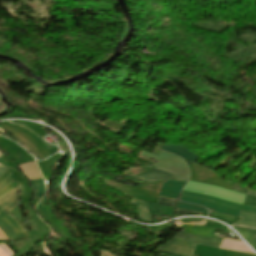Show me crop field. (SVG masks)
<instances>
[{
    "label": "crop field",
    "instance_id": "crop-field-2",
    "mask_svg": "<svg viewBox=\"0 0 256 256\" xmlns=\"http://www.w3.org/2000/svg\"><path fill=\"white\" fill-rule=\"evenodd\" d=\"M97 179H103L104 184L111 188L124 192L125 196L133 198L135 200L156 203L158 193L164 184V182H155L150 184H144L138 188L125 185L122 183L114 182L106 178L97 176Z\"/></svg>",
    "mask_w": 256,
    "mask_h": 256
},
{
    "label": "crop field",
    "instance_id": "crop-field-17",
    "mask_svg": "<svg viewBox=\"0 0 256 256\" xmlns=\"http://www.w3.org/2000/svg\"><path fill=\"white\" fill-rule=\"evenodd\" d=\"M13 189V187H10V186H8L4 191H2L1 193H0V197H2L4 194H6L7 192H9L10 190H12ZM0 209L1 210H3V211H5L2 207H0ZM6 212V211H5ZM7 213V212H6ZM8 214V213H7ZM18 225H19V227L22 229V231L24 232V234H25V237L26 238H28L27 237V235H26V233H25V231H24V229L21 227V225L10 215V214H8Z\"/></svg>",
    "mask_w": 256,
    "mask_h": 256
},
{
    "label": "crop field",
    "instance_id": "crop-field-8",
    "mask_svg": "<svg viewBox=\"0 0 256 256\" xmlns=\"http://www.w3.org/2000/svg\"><path fill=\"white\" fill-rule=\"evenodd\" d=\"M174 174L159 170V169H152L151 171L137 177L146 181H158V180H170L172 179Z\"/></svg>",
    "mask_w": 256,
    "mask_h": 256
},
{
    "label": "crop field",
    "instance_id": "crop-field-16",
    "mask_svg": "<svg viewBox=\"0 0 256 256\" xmlns=\"http://www.w3.org/2000/svg\"><path fill=\"white\" fill-rule=\"evenodd\" d=\"M9 172H10V170H9L6 174H4L2 177H0V182H1L3 179H5L6 177H8ZM10 183H11V182L9 181V179L6 178V179L3 181V183L0 184V192H1L2 190H4Z\"/></svg>",
    "mask_w": 256,
    "mask_h": 256
},
{
    "label": "crop field",
    "instance_id": "crop-field-22",
    "mask_svg": "<svg viewBox=\"0 0 256 256\" xmlns=\"http://www.w3.org/2000/svg\"><path fill=\"white\" fill-rule=\"evenodd\" d=\"M6 238H7V237H6ZM6 238H5L4 234H3V232L0 230V239L6 240Z\"/></svg>",
    "mask_w": 256,
    "mask_h": 256
},
{
    "label": "crop field",
    "instance_id": "crop-field-14",
    "mask_svg": "<svg viewBox=\"0 0 256 256\" xmlns=\"http://www.w3.org/2000/svg\"><path fill=\"white\" fill-rule=\"evenodd\" d=\"M209 216L210 217H214V218H216V219H218L220 221H223V222H225V223H227L229 225L240 220V218L229 217V216L218 214V213H210Z\"/></svg>",
    "mask_w": 256,
    "mask_h": 256
},
{
    "label": "crop field",
    "instance_id": "crop-field-25",
    "mask_svg": "<svg viewBox=\"0 0 256 256\" xmlns=\"http://www.w3.org/2000/svg\"><path fill=\"white\" fill-rule=\"evenodd\" d=\"M1 156V155H0Z\"/></svg>",
    "mask_w": 256,
    "mask_h": 256
},
{
    "label": "crop field",
    "instance_id": "crop-field-20",
    "mask_svg": "<svg viewBox=\"0 0 256 256\" xmlns=\"http://www.w3.org/2000/svg\"><path fill=\"white\" fill-rule=\"evenodd\" d=\"M229 256H256V255L243 254V253H237V252H231V251H229Z\"/></svg>",
    "mask_w": 256,
    "mask_h": 256
},
{
    "label": "crop field",
    "instance_id": "crop-field-15",
    "mask_svg": "<svg viewBox=\"0 0 256 256\" xmlns=\"http://www.w3.org/2000/svg\"><path fill=\"white\" fill-rule=\"evenodd\" d=\"M178 208H183V209H189V210H194V211H199V212H207V210H205L204 208L202 207H196V206H191V205H186V204H181L179 203L177 205Z\"/></svg>",
    "mask_w": 256,
    "mask_h": 256
},
{
    "label": "crop field",
    "instance_id": "crop-field-5",
    "mask_svg": "<svg viewBox=\"0 0 256 256\" xmlns=\"http://www.w3.org/2000/svg\"><path fill=\"white\" fill-rule=\"evenodd\" d=\"M189 168L191 170L190 181L192 182L220 186L228 190H231L233 186L232 183L221 180V178L216 173L207 168L200 167L194 164L190 165Z\"/></svg>",
    "mask_w": 256,
    "mask_h": 256
},
{
    "label": "crop field",
    "instance_id": "crop-field-19",
    "mask_svg": "<svg viewBox=\"0 0 256 256\" xmlns=\"http://www.w3.org/2000/svg\"><path fill=\"white\" fill-rule=\"evenodd\" d=\"M176 212H178V213H184V214H192V215H199V216H202V214H199V213H195V212H191V211H186V210H180V209H177Z\"/></svg>",
    "mask_w": 256,
    "mask_h": 256
},
{
    "label": "crop field",
    "instance_id": "crop-field-12",
    "mask_svg": "<svg viewBox=\"0 0 256 256\" xmlns=\"http://www.w3.org/2000/svg\"><path fill=\"white\" fill-rule=\"evenodd\" d=\"M234 228L247 243H249L253 248L256 249V241L251 240L255 231L249 230V229H244V228H239V227H234Z\"/></svg>",
    "mask_w": 256,
    "mask_h": 256
},
{
    "label": "crop field",
    "instance_id": "crop-field-6",
    "mask_svg": "<svg viewBox=\"0 0 256 256\" xmlns=\"http://www.w3.org/2000/svg\"><path fill=\"white\" fill-rule=\"evenodd\" d=\"M162 150L176 154L189 162H194L198 159L195 154L191 153L180 145H164Z\"/></svg>",
    "mask_w": 256,
    "mask_h": 256
},
{
    "label": "crop field",
    "instance_id": "crop-field-1",
    "mask_svg": "<svg viewBox=\"0 0 256 256\" xmlns=\"http://www.w3.org/2000/svg\"><path fill=\"white\" fill-rule=\"evenodd\" d=\"M221 240L220 238H205L178 233L171 242L159 247L157 251L177 256H191L195 243L218 248Z\"/></svg>",
    "mask_w": 256,
    "mask_h": 256
},
{
    "label": "crop field",
    "instance_id": "crop-field-11",
    "mask_svg": "<svg viewBox=\"0 0 256 256\" xmlns=\"http://www.w3.org/2000/svg\"><path fill=\"white\" fill-rule=\"evenodd\" d=\"M19 167L29 179L42 178L34 162L23 164Z\"/></svg>",
    "mask_w": 256,
    "mask_h": 256
},
{
    "label": "crop field",
    "instance_id": "crop-field-4",
    "mask_svg": "<svg viewBox=\"0 0 256 256\" xmlns=\"http://www.w3.org/2000/svg\"><path fill=\"white\" fill-rule=\"evenodd\" d=\"M0 124L2 125L0 127L10 132L21 142L28 145L40 159H44L49 156L48 149L44 143L29 131L8 122H1Z\"/></svg>",
    "mask_w": 256,
    "mask_h": 256
},
{
    "label": "crop field",
    "instance_id": "crop-field-21",
    "mask_svg": "<svg viewBox=\"0 0 256 256\" xmlns=\"http://www.w3.org/2000/svg\"><path fill=\"white\" fill-rule=\"evenodd\" d=\"M7 171H8L7 168L0 165V176L3 175L4 173H6Z\"/></svg>",
    "mask_w": 256,
    "mask_h": 256
},
{
    "label": "crop field",
    "instance_id": "crop-field-24",
    "mask_svg": "<svg viewBox=\"0 0 256 256\" xmlns=\"http://www.w3.org/2000/svg\"><path fill=\"white\" fill-rule=\"evenodd\" d=\"M1 131V130H0ZM1 132H3V131H1ZM4 133V132H3Z\"/></svg>",
    "mask_w": 256,
    "mask_h": 256
},
{
    "label": "crop field",
    "instance_id": "crop-field-10",
    "mask_svg": "<svg viewBox=\"0 0 256 256\" xmlns=\"http://www.w3.org/2000/svg\"><path fill=\"white\" fill-rule=\"evenodd\" d=\"M19 186H17L12 192L4 195L2 198H0V205L6 209V210H11L16 204H17V199L15 194L17 193V189Z\"/></svg>",
    "mask_w": 256,
    "mask_h": 256
},
{
    "label": "crop field",
    "instance_id": "crop-field-13",
    "mask_svg": "<svg viewBox=\"0 0 256 256\" xmlns=\"http://www.w3.org/2000/svg\"><path fill=\"white\" fill-rule=\"evenodd\" d=\"M0 217H2L9 224V226L14 230V232L16 233L17 239L24 238V235L21 229L9 217H7L1 210H0Z\"/></svg>",
    "mask_w": 256,
    "mask_h": 256
},
{
    "label": "crop field",
    "instance_id": "crop-field-3",
    "mask_svg": "<svg viewBox=\"0 0 256 256\" xmlns=\"http://www.w3.org/2000/svg\"><path fill=\"white\" fill-rule=\"evenodd\" d=\"M180 201H185V202L192 203V204L202 205L208 209H212L219 213H223V214L234 216V217H237L239 214V211H235V210L225 208V207H222L219 205L211 204V203L198 202V201H193V200L184 199V198H181ZM242 204L247 205V206L256 207V197L246 195ZM239 217H241L243 219L234 225H239V226H243V227H249V228L256 229V215L241 212Z\"/></svg>",
    "mask_w": 256,
    "mask_h": 256
},
{
    "label": "crop field",
    "instance_id": "crop-field-9",
    "mask_svg": "<svg viewBox=\"0 0 256 256\" xmlns=\"http://www.w3.org/2000/svg\"><path fill=\"white\" fill-rule=\"evenodd\" d=\"M222 249L254 254L243 242L224 239Z\"/></svg>",
    "mask_w": 256,
    "mask_h": 256
},
{
    "label": "crop field",
    "instance_id": "crop-field-23",
    "mask_svg": "<svg viewBox=\"0 0 256 256\" xmlns=\"http://www.w3.org/2000/svg\"><path fill=\"white\" fill-rule=\"evenodd\" d=\"M253 239H256V232H255V235H254V238Z\"/></svg>",
    "mask_w": 256,
    "mask_h": 256
},
{
    "label": "crop field",
    "instance_id": "crop-field-18",
    "mask_svg": "<svg viewBox=\"0 0 256 256\" xmlns=\"http://www.w3.org/2000/svg\"><path fill=\"white\" fill-rule=\"evenodd\" d=\"M175 200H172V199H165V198H159L157 204H160V205H164V206H169V207H172L173 204H174Z\"/></svg>",
    "mask_w": 256,
    "mask_h": 256
},
{
    "label": "crop field",
    "instance_id": "crop-field-7",
    "mask_svg": "<svg viewBox=\"0 0 256 256\" xmlns=\"http://www.w3.org/2000/svg\"><path fill=\"white\" fill-rule=\"evenodd\" d=\"M185 183L186 182L166 181L160 194L167 197L178 198Z\"/></svg>",
    "mask_w": 256,
    "mask_h": 256
}]
</instances>
